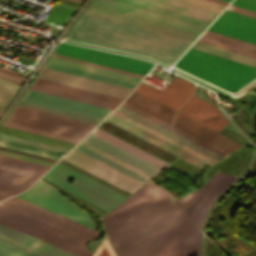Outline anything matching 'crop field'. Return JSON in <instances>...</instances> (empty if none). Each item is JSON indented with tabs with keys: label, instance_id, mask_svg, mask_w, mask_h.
<instances>
[{
	"label": "crop field",
	"instance_id": "1",
	"mask_svg": "<svg viewBox=\"0 0 256 256\" xmlns=\"http://www.w3.org/2000/svg\"><path fill=\"white\" fill-rule=\"evenodd\" d=\"M102 220L118 256H198L197 227L148 182Z\"/></svg>",
	"mask_w": 256,
	"mask_h": 256
},
{
	"label": "crop field",
	"instance_id": "2",
	"mask_svg": "<svg viewBox=\"0 0 256 256\" xmlns=\"http://www.w3.org/2000/svg\"><path fill=\"white\" fill-rule=\"evenodd\" d=\"M67 39L145 55L172 65L191 42L85 10Z\"/></svg>",
	"mask_w": 256,
	"mask_h": 256
},
{
	"label": "crop field",
	"instance_id": "3",
	"mask_svg": "<svg viewBox=\"0 0 256 256\" xmlns=\"http://www.w3.org/2000/svg\"><path fill=\"white\" fill-rule=\"evenodd\" d=\"M87 10L191 42L210 23L141 0H94Z\"/></svg>",
	"mask_w": 256,
	"mask_h": 256
},
{
	"label": "crop field",
	"instance_id": "4",
	"mask_svg": "<svg viewBox=\"0 0 256 256\" xmlns=\"http://www.w3.org/2000/svg\"><path fill=\"white\" fill-rule=\"evenodd\" d=\"M174 66L229 92L256 77V68L189 48Z\"/></svg>",
	"mask_w": 256,
	"mask_h": 256
},
{
	"label": "crop field",
	"instance_id": "5",
	"mask_svg": "<svg viewBox=\"0 0 256 256\" xmlns=\"http://www.w3.org/2000/svg\"><path fill=\"white\" fill-rule=\"evenodd\" d=\"M42 178L108 211L119 202H121L124 198H126V196H124L123 194L59 162ZM70 179H73V182L71 184L69 183Z\"/></svg>",
	"mask_w": 256,
	"mask_h": 256
},
{
	"label": "crop field",
	"instance_id": "6",
	"mask_svg": "<svg viewBox=\"0 0 256 256\" xmlns=\"http://www.w3.org/2000/svg\"><path fill=\"white\" fill-rule=\"evenodd\" d=\"M8 122L81 139L94 125L16 106ZM88 134V133H87Z\"/></svg>",
	"mask_w": 256,
	"mask_h": 256
},
{
	"label": "crop field",
	"instance_id": "7",
	"mask_svg": "<svg viewBox=\"0 0 256 256\" xmlns=\"http://www.w3.org/2000/svg\"><path fill=\"white\" fill-rule=\"evenodd\" d=\"M15 196L95 229L94 222L87 212L79 209L58 191L40 181Z\"/></svg>",
	"mask_w": 256,
	"mask_h": 256
},
{
	"label": "crop field",
	"instance_id": "8",
	"mask_svg": "<svg viewBox=\"0 0 256 256\" xmlns=\"http://www.w3.org/2000/svg\"><path fill=\"white\" fill-rule=\"evenodd\" d=\"M49 167L0 156V200L28 189Z\"/></svg>",
	"mask_w": 256,
	"mask_h": 256
},
{
	"label": "crop field",
	"instance_id": "9",
	"mask_svg": "<svg viewBox=\"0 0 256 256\" xmlns=\"http://www.w3.org/2000/svg\"><path fill=\"white\" fill-rule=\"evenodd\" d=\"M234 178L235 176L216 171L202 187L174 202L201 228L209 205Z\"/></svg>",
	"mask_w": 256,
	"mask_h": 256
},
{
	"label": "crop field",
	"instance_id": "10",
	"mask_svg": "<svg viewBox=\"0 0 256 256\" xmlns=\"http://www.w3.org/2000/svg\"><path fill=\"white\" fill-rule=\"evenodd\" d=\"M56 54L145 75L153 64L113 53L61 43Z\"/></svg>",
	"mask_w": 256,
	"mask_h": 256
},
{
	"label": "crop field",
	"instance_id": "11",
	"mask_svg": "<svg viewBox=\"0 0 256 256\" xmlns=\"http://www.w3.org/2000/svg\"><path fill=\"white\" fill-rule=\"evenodd\" d=\"M0 205H3L5 207L18 211L22 214H25L27 216H30L32 218L45 222L47 224H50L63 231H66L79 238H82L86 241L99 238L101 234V232L94 231L90 228H87L83 225H80L62 216L54 214L50 211H47L43 208H40L36 205H33L29 202L19 199L15 196L11 197L6 201L0 202Z\"/></svg>",
	"mask_w": 256,
	"mask_h": 256
},
{
	"label": "crop field",
	"instance_id": "12",
	"mask_svg": "<svg viewBox=\"0 0 256 256\" xmlns=\"http://www.w3.org/2000/svg\"><path fill=\"white\" fill-rule=\"evenodd\" d=\"M22 100L99 120H102L110 111H112L111 109L75 100H70L30 89L25 92Z\"/></svg>",
	"mask_w": 256,
	"mask_h": 256
},
{
	"label": "crop field",
	"instance_id": "13",
	"mask_svg": "<svg viewBox=\"0 0 256 256\" xmlns=\"http://www.w3.org/2000/svg\"><path fill=\"white\" fill-rule=\"evenodd\" d=\"M208 30L256 44V18L225 9Z\"/></svg>",
	"mask_w": 256,
	"mask_h": 256
},
{
	"label": "crop field",
	"instance_id": "14",
	"mask_svg": "<svg viewBox=\"0 0 256 256\" xmlns=\"http://www.w3.org/2000/svg\"><path fill=\"white\" fill-rule=\"evenodd\" d=\"M129 192L135 191L142 183L76 151L74 148L63 158Z\"/></svg>",
	"mask_w": 256,
	"mask_h": 256
},
{
	"label": "crop field",
	"instance_id": "15",
	"mask_svg": "<svg viewBox=\"0 0 256 256\" xmlns=\"http://www.w3.org/2000/svg\"><path fill=\"white\" fill-rule=\"evenodd\" d=\"M39 78L119 97L125 99L132 89L88 79L85 77L43 67Z\"/></svg>",
	"mask_w": 256,
	"mask_h": 256
},
{
	"label": "crop field",
	"instance_id": "16",
	"mask_svg": "<svg viewBox=\"0 0 256 256\" xmlns=\"http://www.w3.org/2000/svg\"><path fill=\"white\" fill-rule=\"evenodd\" d=\"M136 91L177 111L193 94L194 84L176 75L160 92L143 83Z\"/></svg>",
	"mask_w": 256,
	"mask_h": 256
},
{
	"label": "crop field",
	"instance_id": "17",
	"mask_svg": "<svg viewBox=\"0 0 256 256\" xmlns=\"http://www.w3.org/2000/svg\"><path fill=\"white\" fill-rule=\"evenodd\" d=\"M105 120L175 154H179L177 141L117 112L113 111Z\"/></svg>",
	"mask_w": 256,
	"mask_h": 256
},
{
	"label": "crop field",
	"instance_id": "18",
	"mask_svg": "<svg viewBox=\"0 0 256 256\" xmlns=\"http://www.w3.org/2000/svg\"><path fill=\"white\" fill-rule=\"evenodd\" d=\"M173 127L225 152L230 153L232 150L242 146L180 114L177 113Z\"/></svg>",
	"mask_w": 256,
	"mask_h": 256
},
{
	"label": "crop field",
	"instance_id": "19",
	"mask_svg": "<svg viewBox=\"0 0 256 256\" xmlns=\"http://www.w3.org/2000/svg\"><path fill=\"white\" fill-rule=\"evenodd\" d=\"M0 217H3L5 219L11 220L13 222H16L18 224H21L23 226L29 227L31 229H34L36 231H39L43 234H46L50 237H53L57 240H60L62 242H65L69 245H72L76 248H79L83 251L90 252L86 249L85 243L86 241L79 239L75 236H72L68 233H65L61 230H58L54 227H51L47 224H44L42 222H39L37 220H34L30 217H27L25 215H22L20 213H17L15 211H12L8 208H5L3 206H0ZM92 253V252H90Z\"/></svg>",
	"mask_w": 256,
	"mask_h": 256
},
{
	"label": "crop field",
	"instance_id": "20",
	"mask_svg": "<svg viewBox=\"0 0 256 256\" xmlns=\"http://www.w3.org/2000/svg\"><path fill=\"white\" fill-rule=\"evenodd\" d=\"M0 239L40 256H75L35 237L0 224Z\"/></svg>",
	"mask_w": 256,
	"mask_h": 256
},
{
	"label": "crop field",
	"instance_id": "21",
	"mask_svg": "<svg viewBox=\"0 0 256 256\" xmlns=\"http://www.w3.org/2000/svg\"><path fill=\"white\" fill-rule=\"evenodd\" d=\"M179 113L215 130L219 131L229 122L212 104L193 97L181 108Z\"/></svg>",
	"mask_w": 256,
	"mask_h": 256
},
{
	"label": "crop field",
	"instance_id": "22",
	"mask_svg": "<svg viewBox=\"0 0 256 256\" xmlns=\"http://www.w3.org/2000/svg\"><path fill=\"white\" fill-rule=\"evenodd\" d=\"M82 141L150 174L154 175L156 174L161 168L93 135L89 134L87 137H85Z\"/></svg>",
	"mask_w": 256,
	"mask_h": 256
},
{
	"label": "crop field",
	"instance_id": "23",
	"mask_svg": "<svg viewBox=\"0 0 256 256\" xmlns=\"http://www.w3.org/2000/svg\"><path fill=\"white\" fill-rule=\"evenodd\" d=\"M198 41L256 58V45L206 30Z\"/></svg>",
	"mask_w": 256,
	"mask_h": 256
},
{
	"label": "crop field",
	"instance_id": "24",
	"mask_svg": "<svg viewBox=\"0 0 256 256\" xmlns=\"http://www.w3.org/2000/svg\"><path fill=\"white\" fill-rule=\"evenodd\" d=\"M124 102L148 113L149 115L171 125L175 111L133 91Z\"/></svg>",
	"mask_w": 256,
	"mask_h": 256
},
{
	"label": "crop field",
	"instance_id": "25",
	"mask_svg": "<svg viewBox=\"0 0 256 256\" xmlns=\"http://www.w3.org/2000/svg\"><path fill=\"white\" fill-rule=\"evenodd\" d=\"M92 133H94V134H96V135H98V136H100V137H102V138H104V139H106V140H108V141H110V142H112V143H114V144H116V145H118V146H120V147H122V148H124V149H126V150H128V151H130V152H132V153H134V154H136V155H138V156H140V157L158 165V166H160V167H162V168L165 167L168 164L165 161H163V160H161V159H159V158H157V157H155V156H153V155H151V154H149V153H147V152H145V151H143V150H141V149H139V148H137V147H135V146H133V145H131V144H129V143H127V142H125V141H123V140H121V139H119V138L101 130V129H99V128H97V127L92 131Z\"/></svg>",
	"mask_w": 256,
	"mask_h": 256
},
{
	"label": "crop field",
	"instance_id": "26",
	"mask_svg": "<svg viewBox=\"0 0 256 256\" xmlns=\"http://www.w3.org/2000/svg\"><path fill=\"white\" fill-rule=\"evenodd\" d=\"M154 4H158L167 8H171L180 12H184L190 15H194L203 19L212 21L218 13L211 12L205 9H201L192 5H188L175 0H144Z\"/></svg>",
	"mask_w": 256,
	"mask_h": 256
},
{
	"label": "crop field",
	"instance_id": "27",
	"mask_svg": "<svg viewBox=\"0 0 256 256\" xmlns=\"http://www.w3.org/2000/svg\"><path fill=\"white\" fill-rule=\"evenodd\" d=\"M29 88L34 89V90H38V91H42V92H46V93H50V94H54V95H58V96H62V97H66V98H71V99H75V100H79V101H83V102H87V103H91V104L111 108V109H114L115 107L118 106V104H114V103H110V102H106V101H102V100H98V99H94V98H90V97H86V96H82V95L62 91V90H58V89H54V88L34 84V83H32Z\"/></svg>",
	"mask_w": 256,
	"mask_h": 256
},
{
	"label": "crop field",
	"instance_id": "28",
	"mask_svg": "<svg viewBox=\"0 0 256 256\" xmlns=\"http://www.w3.org/2000/svg\"><path fill=\"white\" fill-rule=\"evenodd\" d=\"M49 61L58 63V64H62V65H66V66H70V67H74V68H78V69H83V70L115 77V78H119V79H123V80H127V81H131V82H135V83H138L141 80V78H137V77H133V76H129V75H125V74H121V73H117V72H113V71H109V70H105V69H101V68H97V67H93V66H89V65H85V64H81V63H77V62H73V61H69V60H65V59H61V58H57V57H53V56H51Z\"/></svg>",
	"mask_w": 256,
	"mask_h": 256
},
{
	"label": "crop field",
	"instance_id": "29",
	"mask_svg": "<svg viewBox=\"0 0 256 256\" xmlns=\"http://www.w3.org/2000/svg\"><path fill=\"white\" fill-rule=\"evenodd\" d=\"M0 223L6 224V225L11 226V227H13L15 229L23 231V232H25L27 234L35 236V237H37V238H39L41 240H44V241H46V242H48L50 244H53V245H55V246H57L59 248H62L64 250L68 251V252H71V253H73V254H75L77 256H90V254H88L86 252H83V251H81L79 249H76V248H74L72 246H69V245H67L65 243L57 241V240H55L53 238H50V237H48L46 235H43V234L39 233V232H36L34 230H31V229H28L26 227H23V226L18 225L16 223L10 222V221L5 220L3 218H0Z\"/></svg>",
	"mask_w": 256,
	"mask_h": 256
},
{
	"label": "crop field",
	"instance_id": "30",
	"mask_svg": "<svg viewBox=\"0 0 256 256\" xmlns=\"http://www.w3.org/2000/svg\"><path fill=\"white\" fill-rule=\"evenodd\" d=\"M191 48H195V49H198V50H201V51H205V52H208V53H211V54H215V55H218V56H221V57H225V58H228V59H231V60H235V61H238V62L245 63V64L256 67V59H254V58H250V57H247V56H244V55H240V54L230 52V51H227V50H224V49H220V48H217V47H214V46H210V45H207V44H204V43H200V42L196 41L191 46Z\"/></svg>",
	"mask_w": 256,
	"mask_h": 256
},
{
	"label": "crop field",
	"instance_id": "31",
	"mask_svg": "<svg viewBox=\"0 0 256 256\" xmlns=\"http://www.w3.org/2000/svg\"><path fill=\"white\" fill-rule=\"evenodd\" d=\"M45 66L54 68V69H58V70H62V71H66V72H70V73H74V74H78V75H82L85 77L109 82L112 84L132 88V89H134V87L136 86L135 83H131V82H127V81H123V80H119V79H115V78H111V77H107V76H103V75H99V74H95V73H90V72H86V71H82V70H78V69H74V68L54 64V63H50V62H48Z\"/></svg>",
	"mask_w": 256,
	"mask_h": 256
},
{
	"label": "crop field",
	"instance_id": "32",
	"mask_svg": "<svg viewBox=\"0 0 256 256\" xmlns=\"http://www.w3.org/2000/svg\"><path fill=\"white\" fill-rule=\"evenodd\" d=\"M34 83H38V84H42V85H46V86H50V87H54V88H58V89H62V90H66V91H70V92H74V93H78V94L114 102V103H118V104H120L123 101L122 99H118V98H114V97H110V96H106V95H102V94L66 86V85H62V84H58V83H54V82H50V81H46V80H42V79H38V78L35 79Z\"/></svg>",
	"mask_w": 256,
	"mask_h": 256
},
{
	"label": "crop field",
	"instance_id": "33",
	"mask_svg": "<svg viewBox=\"0 0 256 256\" xmlns=\"http://www.w3.org/2000/svg\"><path fill=\"white\" fill-rule=\"evenodd\" d=\"M180 147H181V155H180V158L202 168V166L207 163L209 164L210 166L212 164H214L216 161L181 144L180 143ZM209 166V167H210Z\"/></svg>",
	"mask_w": 256,
	"mask_h": 256
},
{
	"label": "crop field",
	"instance_id": "34",
	"mask_svg": "<svg viewBox=\"0 0 256 256\" xmlns=\"http://www.w3.org/2000/svg\"><path fill=\"white\" fill-rule=\"evenodd\" d=\"M115 110H117V111H119V112H121V113H123V114H125V115H127V116H129V117H131V118H133V119H135V120H137V121L174 139L173 133L171 130H169V129H167V128H165V127H163V126H161V125H159V124H157V123H155V122H153V121H151V120L121 106V105L119 107H117Z\"/></svg>",
	"mask_w": 256,
	"mask_h": 256
},
{
	"label": "crop field",
	"instance_id": "35",
	"mask_svg": "<svg viewBox=\"0 0 256 256\" xmlns=\"http://www.w3.org/2000/svg\"><path fill=\"white\" fill-rule=\"evenodd\" d=\"M74 148H76V149H78V150H80V151H82V152H84V153H86V154H88V155H90V156L108 164L109 166H111V167H113V168H115V169H117V170H119V171H121V172H123V173H125V174L143 182V183L148 180V179H146V178H144V177H142V176H140V175H138V174H136V173H134V172H132V171H130V170H128V169H126V168H124V167H122V166H120V165H118V164H116V163H114V162H112V161H110V160H108V159H106V158H104V157H102V156H100V155L82 147V146H80V145H78V144Z\"/></svg>",
	"mask_w": 256,
	"mask_h": 256
},
{
	"label": "crop field",
	"instance_id": "36",
	"mask_svg": "<svg viewBox=\"0 0 256 256\" xmlns=\"http://www.w3.org/2000/svg\"><path fill=\"white\" fill-rule=\"evenodd\" d=\"M0 256H37L0 240Z\"/></svg>",
	"mask_w": 256,
	"mask_h": 256
},
{
	"label": "crop field",
	"instance_id": "37",
	"mask_svg": "<svg viewBox=\"0 0 256 256\" xmlns=\"http://www.w3.org/2000/svg\"><path fill=\"white\" fill-rule=\"evenodd\" d=\"M19 104L24 105V106H28V107H32V108H36V109H40V110H44V111H48V112H52V113H56V114H60V115H64V116H68V117H72V118H76V119H80V120H84V121H88V122H92V123H96V124H98L100 122L99 120H95V119H91V118H87V117H83V116H79V115H75V114H71V113L51 109V108H47V107H43V106H39V105L27 103V102H23V101H20Z\"/></svg>",
	"mask_w": 256,
	"mask_h": 256
},
{
	"label": "crop field",
	"instance_id": "38",
	"mask_svg": "<svg viewBox=\"0 0 256 256\" xmlns=\"http://www.w3.org/2000/svg\"><path fill=\"white\" fill-rule=\"evenodd\" d=\"M174 134L176 135L179 142H181V143H183V144H185V145H187V146H189V147H191V148H193V149H195V150H197V151H199L217 161L222 158V156H220V155H218V154H216V153H214V152H212V151H210V150H208V149H206V148H204V147H202V146H200V145H198V144H196V143H194L176 133H174Z\"/></svg>",
	"mask_w": 256,
	"mask_h": 256
},
{
	"label": "crop field",
	"instance_id": "39",
	"mask_svg": "<svg viewBox=\"0 0 256 256\" xmlns=\"http://www.w3.org/2000/svg\"><path fill=\"white\" fill-rule=\"evenodd\" d=\"M4 125L13 127V128H17V129H21V130H25V131H29V132H33V133H37V134H42V135L74 142V143H77L79 141L78 139H74V138H70V137H66V136H62V135H58V134H53V133H49V132H45V131H41V130H37V129H33V128H28V127H24V126H20V125H16V124L8 123V122H5Z\"/></svg>",
	"mask_w": 256,
	"mask_h": 256
},
{
	"label": "crop field",
	"instance_id": "40",
	"mask_svg": "<svg viewBox=\"0 0 256 256\" xmlns=\"http://www.w3.org/2000/svg\"><path fill=\"white\" fill-rule=\"evenodd\" d=\"M78 144H80V145H82V146H84V147H86V148H88V149H90V150H92V151H94V152H96V153H98V154H100V155H102V156H104V157H106V158H108V159H110V160H112V161H114V162H116V163H118V164H120V165H122V166H124V167L142 175V176H144V177H146V178H148V179L152 177V176H150V175H148V174H146V173H144V172H142V171H140V170H138V169H136V168H134V167H132V166H130V165H128V164H126V163H124V162H122V161H120V160H118V159H116V158H114V157H112V156H110V155H108V154H106V153H104V152L86 144V143H84V142H82V141L79 142Z\"/></svg>",
	"mask_w": 256,
	"mask_h": 256
},
{
	"label": "crop field",
	"instance_id": "41",
	"mask_svg": "<svg viewBox=\"0 0 256 256\" xmlns=\"http://www.w3.org/2000/svg\"><path fill=\"white\" fill-rule=\"evenodd\" d=\"M188 4H192L198 7H202L211 11H215L220 13L221 10L225 7V5L218 4L208 0H179Z\"/></svg>",
	"mask_w": 256,
	"mask_h": 256
},
{
	"label": "crop field",
	"instance_id": "42",
	"mask_svg": "<svg viewBox=\"0 0 256 256\" xmlns=\"http://www.w3.org/2000/svg\"><path fill=\"white\" fill-rule=\"evenodd\" d=\"M0 137L5 138V139H9V140H13V141H17V142H22V143H26V144H30V145H34V146H38V147H43V148L63 152V153H66L68 151L67 149H63V148H59V147H55V146H50V145H46V144H42V143H38V142H33V141H29V140H25V139H21V138H17V137L4 135V134H0Z\"/></svg>",
	"mask_w": 256,
	"mask_h": 256
},
{
	"label": "crop field",
	"instance_id": "43",
	"mask_svg": "<svg viewBox=\"0 0 256 256\" xmlns=\"http://www.w3.org/2000/svg\"><path fill=\"white\" fill-rule=\"evenodd\" d=\"M92 256H115L112 248L110 247L106 237L99 245V247L95 250Z\"/></svg>",
	"mask_w": 256,
	"mask_h": 256
},
{
	"label": "crop field",
	"instance_id": "44",
	"mask_svg": "<svg viewBox=\"0 0 256 256\" xmlns=\"http://www.w3.org/2000/svg\"><path fill=\"white\" fill-rule=\"evenodd\" d=\"M231 5L256 12V0H233Z\"/></svg>",
	"mask_w": 256,
	"mask_h": 256
},
{
	"label": "crop field",
	"instance_id": "45",
	"mask_svg": "<svg viewBox=\"0 0 256 256\" xmlns=\"http://www.w3.org/2000/svg\"><path fill=\"white\" fill-rule=\"evenodd\" d=\"M0 142L2 143H6V144H10V145H14V146H18V147H22V148H26V149H31V150H35V151H39V152H43V153H47V154H51V155H57L56 152H52V151H48V150H44V149H40V148H36V147H32V146H28V145H24V144H20V143H16V142H12V141H8V140H4V139H0Z\"/></svg>",
	"mask_w": 256,
	"mask_h": 256
},
{
	"label": "crop field",
	"instance_id": "46",
	"mask_svg": "<svg viewBox=\"0 0 256 256\" xmlns=\"http://www.w3.org/2000/svg\"><path fill=\"white\" fill-rule=\"evenodd\" d=\"M53 56H57V57H61V58H65V59H69V60H73V61H77V62H81V63H85V64H89V65H93V66H97V67H101V68H105V69H109V70H113V71H117V72H121V73H125V74H129V75H133V76H137V77L143 78L142 75H138V74H134V73L118 70V69H113V68H109V67H105V66H101V65L85 62V61H80V60H76V59H72V58H68V57H64V56H60V55H56V54H53Z\"/></svg>",
	"mask_w": 256,
	"mask_h": 256
},
{
	"label": "crop field",
	"instance_id": "47",
	"mask_svg": "<svg viewBox=\"0 0 256 256\" xmlns=\"http://www.w3.org/2000/svg\"><path fill=\"white\" fill-rule=\"evenodd\" d=\"M173 130L175 132H177V133H179V134H181V135H183V136H185V137H187V138H189V139H191V140H193V141H195V142H197V143H199V144H201V145H203V146H205V147H207V148H209V149H211V150H213V151H215V152H217L221 155H223V156L227 155V154H225V153H223V152H221V151H219V150H217V149H215V148H213V147H211V146H209V145H207V144H205V143H203V142H201V141H199V140H197V139H195V138H193V137H191V136H189V135H187V134H185V133H183V132H181V131H179L175 128H173Z\"/></svg>",
	"mask_w": 256,
	"mask_h": 256
},
{
	"label": "crop field",
	"instance_id": "48",
	"mask_svg": "<svg viewBox=\"0 0 256 256\" xmlns=\"http://www.w3.org/2000/svg\"><path fill=\"white\" fill-rule=\"evenodd\" d=\"M0 146H4V147H8V148H12V149H16V150H20V151H24V152H28V153H32V154H36V155H40V156H44V157H48V158H52V159H56L59 160V157H54V156H50V155H46V154H42V153H38V152H34V151H30V150H26V149H22V148H18V147H14V146H10V145H6V144H2L0 143Z\"/></svg>",
	"mask_w": 256,
	"mask_h": 256
},
{
	"label": "crop field",
	"instance_id": "49",
	"mask_svg": "<svg viewBox=\"0 0 256 256\" xmlns=\"http://www.w3.org/2000/svg\"><path fill=\"white\" fill-rule=\"evenodd\" d=\"M227 9L234 10V11H237V12H240V13H244V14L256 17V13L255 12H251V11H248V10H245V9H241V8H238V7H235V6L229 5L227 7Z\"/></svg>",
	"mask_w": 256,
	"mask_h": 256
},
{
	"label": "crop field",
	"instance_id": "50",
	"mask_svg": "<svg viewBox=\"0 0 256 256\" xmlns=\"http://www.w3.org/2000/svg\"><path fill=\"white\" fill-rule=\"evenodd\" d=\"M122 105H124V106H126V107H128V108H130V109H132V110H134V111H136V112H138V113H140V114H142V115H144V116H146V117H148V118H150V119H152V120H154V121H156V122H158V123H160V124H162V125H164V126H166V127L171 129L170 126H168V125H166V124H164V123H162V122H160V121H158V120H156V119H154V118H152V117H150V116H148V115H146V114H144V113H142V112H140V111H138V110H136V109L126 105V104H124V103Z\"/></svg>",
	"mask_w": 256,
	"mask_h": 256
},
{
	"label": "crop field",
	"instance_id": "51",
	"mask_svg": "<svg viewBox=\"0 0 256 256\" xmlns=\"http://www.w3.org/2000/svg\"><path fill=\"white\" fill-rule=\"evenodd\" d=\"M0 84L4 85V86H7V87H10V88L15 89V90H17L18 87H19L18 85H15L13 83L7 82V81L2 80V79H0Z\"/></svg>",
	"mask_w": 256,
	"mask_h": 256
},
{
	"label": "crop field",
	"instance_id": "52",
	"mask_svg": "<svg viewBox=\"0 0 256 256\" xmlns=\"http://www.w3.org/2000/svg\"><path fill=\"white\" fill-rule=\"evenodd\" d=\"M11 95L5 94L3 92H0V99L9 102V100L11 99Z\"/></svg>",
	"mask_w": 256,
	"mask_h": 256
},
{
	"label": "crop field",
	"instance_id": "53",
	"mask_svg": "<svg viewBox=\"0 0 256 256\" xmlns=\"http://www.w3.org/2000/svg\"><path fill=\"white\" fill-rule=\"evenodd\" d=\"M0 71L17 77V76H16L17 73H14V72H12V71L6 70V69H4V68H1V67H0ZM18 78H20V77H18ZM22 79H23V78H22Z\"/></svg>",
	"mask_w": 256,
	"mask_h": 256
},
{
	"label": "crop field",
	"instance_id": "54",
	"mask_svg": "<svg viewBox=\"0 0 256 256\" xmlns=\"http://www.w3.org/2000/svg\"><path fill=\"white\" fill-rule=\"evenodd\" d=\"M0 78L5 79V80H7V81H10V82H13V83H15V84L20 85V82H17V81H15V80H12V79H9V78H6V77H4V76H1V75H0Z\"/></svg>",
	"mask_w": 256,
	"mask_h": 256
},
{
	"label": "crop field",
	"instance_id": "55",
	"mask_svg": "<svg viewBox=\"0 0 256 256\" xmlns=\"http://www.w3.org/2000/svg\"><path fill=\"white\" fill-rule=\"evenodd\" d=\"M7 102H4L0 100V109L3 110V108L6 106Z\"/></svg>",
	"mask_w": 256,
	"mask_h": 256
},
{
	"label": "crop field",
	"instance_id": "56",
	"mask_svg": "<svg viewBox=\"0 0 256 256\" xmlns=\"http://www.w3.org/2000/svg\"><path fill=\"white\" fill-rule=\"evenodd\" d=\"M0 88L15 93V90L0 85Z\"/></svg>",
	"mask_w": 256,
	"mask_h": 256
},
{
	"label": "crop field",
	"instance_id": "57",
	"mask_svg": "<svg viewBox=\"0 0 256 256\" xmlns=\"http://www.w3.org/2000/svg\"><path fill=\"white\" fill-rule=\"evenodd\" d=\"M0 74H1V75H4V76H6V77H9V78L15 79V80H17V81H20V82H22V80H21V79H18V78H14V77L8 76V75H6V74H3V73H0Z\"/></svg>",
	"mask_w": 256,
	"mask_h": 256
},
{
	"label": "crop field",
	"instance_id": "58",
	"mask_svg": "<svg viewBox=\"0 0 256 256\" xmlns=\"http://www.w3.org/2000/svg\"><path fill=\"white\" fill-rule=\"evenodd\" d=\"M212 1H215V2H218V3H222V4H225V5H227V4H228V2L221 1V0H212Z\"/></svg>",
	"mask_w": 256,
	"mask_h": 256
},
{
	"label": "crop field",
	"instance_id": "59",
	"mask_svg": "<svg viewBox=\"0 0 256 256\" xmlns=\"http://www.w3.org/2000/svg\"><path fill=\"white\" fill-rule=\"evenodd\" d=\"M0 91H3V92H5V93H8V94L13 95V93H10V92H7V91H4V90H2V89H0Z\"/></svg>",
	"mask_w": 256,
	"mask_h": 256
},
{
	"label": "crop field",
	"instance_id": "60",
	"mask_svg": "<svg viewBox=\"0 0 256 256\" xmlns=\"http://www.w3.org/2000/svg\"><path fill=\"white\" fill-rule=\"evenodd\" d=\"M225 1H228V2H230L231 0H225Z\"/></svg>",
	"mask_w": 256,
	"mask_h": 256
},
{
	"label": "crop field",
	"instance_id": "61",
	"mask_svg": "<svg viewBox=\"0 0 256 256\" xmlns=\"http://www.w3.org/2000/svg\"><path fill=\"white\" fill-rule=\"evenodd\" d=\"M75 1H79V2H81V0H75Z\"/></svg>",
	"mask_w": 256,
	"mask_h": 256
},
{
	"label": "crop field",
	"instance_id": "62",
	"mask_svg": "<svg viewBox=\"0 0 256 256\" xmlns=\"http://www.w3.org/2000/svg\"><path fill=\"white\" fill-rule=\"evenodd\" d=\"M0 112H1V110H0Z\"/></svg>",
	"mask_w": 256,
	"mask_h": 256
}]
</instances>
